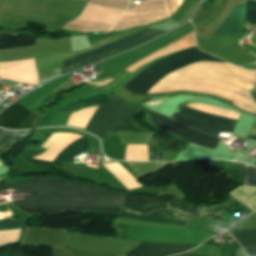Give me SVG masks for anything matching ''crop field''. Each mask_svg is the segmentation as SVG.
Segmentation results:
<instances>
[{
    "label": "crop field",
    "instance_id": "obj_10",
    "mask_svg": "<svg viewBox=\"0 0 256 256\" xmlns=\"http://www.w3.org/2000/svg\"><path fill=\"white\" fill-rule=\"evenodd\" d=\"M110 98V107L108 111V121L107 128L108 131H139L132 126L130 119L136 108L128 107L124 103L112 98ZM148 133V132H147Z\"/></svg>",
    "mask_w": 256,
    "mask_h": 256
},
{
    "label": "crop field",
    "instance_id": "obj_29",
    "mask_svg": "<svg viewBox=\"0 0 256 256\" xmlns=\"http://www.w3.org/2000/svg\"><path fill=\"white\" fill-rule=\"evenodd\" d=\"M115 163H118V162H115ZM107 164H110V163H107Z\"/></svg>",
    "mask_w": 256,
    "mask_h": 256
},
{
    "label": "crop field",
    "instance_id": "obj_27",
    "mask_svg": "<svg viewBox=\"0 0 256 256\" xmlns=\"http://www.w3.org/2000/svg\"><path fill=\"white\" fill-rule=\"evenodd\" d=\"M0 256H12V252H5ZM13 256H25V254L23 252H13Z\"/></svg>",
    "mask_w": 256,
    "mask_h": 256
},
{
    "label": "crop field",
    "instance_id": "obj_20",
    "mask_svg": "<svg viewBox=\"0 0 256 256\" xmlns=\"http://www.w3.org/2000/svg\"><path fill=\"white\" fill-rule=\"evenodd\" d=\"M26 221H27V219H18V220L4 219L2 222H0V231L21 228L20 237H19V240L17 242L3 244V245H0V247L19 243L22 236H23L24 226L26 224Z\"/></svg>",
    "mask_w": 256,
    "mask_h": 256
},
{
    "label": "crop field",
    "instance_id": "obj_2",
    "mask_svg": "<svg viewBox=\"0 0 256 256\" xmlns=\"http://www.w3.org/2000/svg\"><path fill=\"white\" fill-rule=\"evenodd\" d=\"M198 61L225 62L200 52L197 47L191 48L156 62L126 83L125 88L135 93H146L170 73Z\"/></svg>",
    "mask_w": 256,
    "mask_h": 256
},
{
    "label": "crop field",
    "instance_id": "obj_18",
    "mask_svg": "<svg viewBox=\"0 0 256 256\" xmlns=\"http://www.w3.org/2000/svg\"><path fill=\"white\" fill-rule=\"evenodd\" d=\"M1 133V132H0ZM30 131H7L2 130L0 135V150H6L10 145L28 136Z\"/></svg>",
    "mask_w": 256,
    "mask_h": 256
},
{
    "label": "crop field",
    "instance_id": "obj_13",
    "mask_svg": "<svg viewBox=\"0 0 256 256\" xmlns=\"http://www.w3.org/2000/svg\"><path fill=\"white\" fill-rule=\"evenodd\" d=\"M119 216L186 226L190 215L175 209H167L155 210L148 216H145L140 213L122 209Z\"/></svg>",
    "mask_w": 256,
    "mask_h": 256
},
{
    "label": "crop field",
    "instance_id": "obj_9",
    "mask_svg": "<svg viewBox=\"0 0 256 256\" xmlns=\"http://www.w3.org/2000/svg\"><path fill=\"white\" fill-rule=\"evenodd\" d=\"M153 120L156 126L161 127L187 141L198 145H202L215 150L220 141L218 138H213L196 130L185 127L156 113L153 114Z\"/></svg>",
    "mask_w": 256,
    "mask_h": 256
},
{
    "label": "crop field",
    "instance_id": "obj_5",
    "mask_svg": "<svg viewBox=\"0 0 256 256\" xmlns=\"http://www.w3.org/2000/svg\"><path fill=\"white\" fill-rule=\"evenodd\" d=\"M150 31H152V30L151 29H145V30H143L141 32H138V33H136L134 35L126 37V38H124L122 40H119V41H117L115 43H112V44H109V45H106V46H103V47L91 50L89 52L83 53L81 55L75 56L73 58L67 59V60H65L63 62L62 68L66 67L68 65L80 62L82 60L91 58V57H93V56H95L97 54H100V53H102L104 51H107V50H109V49H111L113 47H116V46H118V45H120L122 43H125V42H127L129 40H132V39H134V38H136L138 36H141V35H143L145 33H148ZM162 33H164V31L154 30V31H152V32H150V33H148V34H146L144 36H141V37H139V38H137V39H135V40H133L131 42H128V43H126V44H124V45H122V46H120L118 48H113V49H111V50H109L107 52H104V53H102L100 55H97V56H95V57H93L91 59H88V60H85L83 62L71 65V66L66 67V68H63L62 69V74L66 73V72H68L70 70L82 67L83 65H87V64H90L92 62L98 61L100 59L106 58L108 56L114 55L116 53L123 52V51H125V50H127L129 48L136 47V46H138V45H140V44H142V43H144V42H146V41H148V40H150V39H152V38H154V37H156V36H158V35H160Z\"/></svg>",
    "mask_w": 256,
    "mask_h": 256
},
{
    "label": "crop field",
    "instance_id": "obj_7",
    "mask_svg": "<svg viewBox=\"0 0 256 256\" xmlns=\"http://www.w3.org/2000/svg\"><path fill=\"white\" fill-rule=\"evenodd\" d=\"M181 112L189 113L192 115L200 116L203 118L211 119L214 121L222 122V123L233 125V126H235V123H236V120H232V119H228V118H224V117H220V116H216V115H212V114H208V113H204V112H200V111H196V110H192L184 107H182ZM181 112L177 114L174 117V119L194 129L204 132L206 134L217 137L220 131L230 132V133L233 132V129H234L233 126L225 125L222 123L214 122L211 120L203 119L200 117L192 116V115L181 113Z\"/></svg>",
    "mask_w": 256,
    "mask_h": 256
},
{
    "label": "crop field",
    "instance_id": "obj_1",
    "mask_svg": "<svg viewBox=\"0 0 256 256\" xmlns=\"http://www.w3.org/2000/svg\"><path fill=\"white\" fill-rule=\"evenodd\" d=\"M30 191L25 200H16L18 206H122L124 195L68 180L35 178L0 186V192ZM120 207H19L29 213L67 211H119Z\"/></svg>",
    "mask_w": 256,
    "mask_h": 256
},
{
    "label": "crop field",
    "instance_id": "obj_15",
    "mask_svg": "<svg viewBox=\"0 0 256 256\" xmlns=\"http://www.w3.org/2000/svg\"><path fill=\"white\" fill-rule=\"evenodd\" d=\"M33 45H35V38L26 32L0 36V49Z\"/></svg>",
    "mask_w": 256,
    "mask_h": 256
},
{
    "label": "crop field",
    "instance_id": "obj_26",
    "mask_svg": "<svg viewBox=\"0 0 256 256\" xmlns=\"http://www.w3.org/2000/svg\"><path fill=\"white\" fill-rule=\"evenodd\" d=\"M248 138L256 140V123L253 124Z\"/></svg>",
    "mask_w": 256,
    "mask_h": 256
},
{
    "label": "crop field",
    "instance_id": "obj_24",
    "mask_svg": "<svg viewBox=\"0 0 256 256\" xmlns=\"http://www.w3.org/2000/svg\"><path fill=\"white\" fill-rule=\"evenodd\" d=\"M245 167V180L244 184L249 186H256V168L244 165Z\"/></svg>",
    "mask_w": 256,
    "mask_h": 256
},
{
    "label": "crop field",
    "instance_id": "obj_28",
    "mask_svg": "<svg viewBox=\"0 0 256 256\" xmlns=\"http://www.w3.org/2000/svg\"><path fill=\"white\" fill-rule=\"evenodd\" d=\"M180 256H199V255H194V254H188V253H185V254L180 255Z\"/></svg>",
    "mask_w": 256,
    "mask_h": 256
},
{
    "label": "crop field",
    "instance_id": "obj_25",
    "mask_svg": "<svg viewBox=\"0 0 256 256\" xmlns=\"http://www.w3.org/2000/svg\"><path fill=\"white\" fill-rule=\"evenodd\" d=\"M168 17L171 16L178 8L177 0H164Z\"/></svg>",
    "mask_w": 256,
    "mask_h": 256
},
{
    "label": "crop field",
    "instance_id": "obj_16",
    "mask_svg": "<svg viewBox=\"0 0 256 256\" xmlns=\"http://www.w3.org/2000/svg\"><path fill=\"white\" fill-rule=\"evenodd\" d=\"M245 250H256V228L232 233ZM249 256H256V251H246Z\"/></svg>",
    "mask_w": 256,
    "mask_h": 256
},
{
    "label": "crop field",
    "instance_id": "obj_12",
    "mask_svg": "<svg viewBox=\"0 0 256 256\" xmlns=\"http://www.w3.org/2000/svg\"><path fill=\"white\" fill-rule=\"evenodd\" d=\"M25 109L16 103L7 108L0 114V127L7 129L27 128L33 113ZM36 117L37 115L34 114L28 128L33 126Z\"/></svg>",
    "mask_w": 256,
    "mask_h": 256
},
{
    "label": "crop field",
    "instance_id": "obj_6",
    "mask_svg": "<svg viewBox=\"0 0 256 256\" xmlns=\"http://www.w3.org/2000/svg\"><path fill=\"white\" fill-rule=\"evenodd\" d=\"M140 3L132 5L111 30L127 29L167 17L163 0Z\"/></svg>",
    "mask_w": 256,
    "mask_h": 256
},
{
    "label": "crop field",
    "instance_id": "obj_19",
    "mask_svg": "<svg viewBox=\"0 0 256 256\" xmlns=\"http://www.w3.org/2000/svg\"><path fill=\"white\" fill-rule=\"evenodd\" d=\"M237 202L238 201H236L230 197L229 200L222 205L212 206V207H201V208H197V209L199 210L202 217L225 220L221 216H219L217 213L236 204Z\"/></svg>",
    "mask_w": 256,
    "mask_h": 256
},
{
    "label": "crop field",
    "instance_id": "obj_22",
    "mask_svg": "<svg viewBox=\"0 0 256 256\" xmlns=\"http://www.w3.org/2000/svg\"><path fill=\"white\" fill-rule=\"evenodd\" d=\"M169 199H173L172 197H163V198H147V197H140V196H134V195H127L125 197V200L128 201H134V202H141V203H162L164 201H167Z\"/></svg>",
    "mask_w": 256,
    "mask_h": 256
},
{
    "label": "crop field",
    "instance_id": "obj_4",
    "mask_svg": "<svg viewBox=\"0 0 256 256\" xmlns=\"http://www.w3.org/2000/svg\"><path fill=\"white\" fill-rule=\"evenodd\" d=\"M21 246H50L53 256H121L110 252L65 249V231L28 228Z\"/></svg>",
    "mask_w": 256,
    "mask_h": 256
},
{
    "label": "crop field",
    "instance_id": "obj_21",
    "mask_svg": "<svg viewBox=\"0 0 256 256\" xmlns=\"http://www.w3.org/2000/svg\"><path fill=\"white\" fill-rule=\"evenodd\" d=\"M122 207L133 210V211H137L140 213H144V214H147L148 212H150L151 210H154V209L169 208L167 202L162 203V204L148 205V204L127 202V201L124 202Z\"/></svg>",
    "mask_w": 256,
    "mask_h": 256
},
{
    "label": "crop field",
    "instance_id": "obj_17",
    "mask_svg": "<svg viewBox=\"0 0 256 256\" xmlns=\"http://www.w3.org/2000/svg\"><path fill=\"white\" fill-rule=\"evenodd\" d=\"M107 108L108 106H99L91 116L85 129L104 136Z\"/></svg>",
    "mask_w": 256,
    "mask_h": 256
},
{
    "label": "crop field",
    "instance_id": "obj_11",
    "mask_svg": "<svg viewBox=\"0 0 256 256\" xmlns=\"http://www.w3.org/2000/svg\"><path fill=\"white\" fill-rule=\"evenodd\" d=\"M196 246L198 245L141 242L124 256H168L182 253Z\"/></svg>",
    "mask_w": 256,
    "mask_h": 256
},
{
    "label": "crop field",
    "instance_id": "obj_14",
    "mask_svg": "<svg viewBox=\"0 0 256 256\" xmlns=\"http://www.w3.org/2000/svg\"><path fill=\"white\" fill-rule=\"evenodd\" d=\"M242 8L243 5L234 7L214 36L239 38L242 32Z\"/></svg>",
    "mask_w": 256,
    "mask_h": 256
},
{
    "label": "crop field",
    "instance_id": "obj_23",
    "mask_svg": "<svg viewBox=\"0 0 256 256\" xmlns=\"http://www.w3.org/2000/svg\"><path fill=\"white\" fill-rule=\"evenodd\" d=\"M169 203L172 207H175V208H178L180 210L186 211L188 213L200 216L196 207H194L190 204H186V203H183V202L178 201V200H170Z\"/></svg>",
    "mask_w": 256,
    "mask_h": 256
},
{
    "label": "crop field",
    "instance_id": "obj_8",
    "mask_svg": "<svg viewBox=\"0 0 256 256\" xmlns=\"http://www.w3.org/2000/svg\"><path fill=\"white\" fill-rule=\"evenodd\" d=\"M64 134L66 133L54 132L50 136V138L43 145H41V147L47 149L53 143H55L59 138H61ZM87 149H88L87 140L86 138L82 137L50 160L39 158V157H33V158L23 157V160L32 165L47 166V167L55 168V166H62L63 162H71V160L77 154Z\"/></svg>",
    "mask_w": 256,
    "mask_h": 256
},
{
    "label": "crop field",
    "instance_id": "obj_3",
    "mask_svg": "<svg viewBox=\"0 0 256 256\" xmlns=\"http://www.w3.org/2000/svg\"><path fill=\"white\" fill-rule=\"evenodd\" d=\"M130 0H89L78 17L62 28L75 31L110 30L125 13Z\"/></svg>",
    "mask_w": 256,
    "mask_h": 256
}]
</instances>
